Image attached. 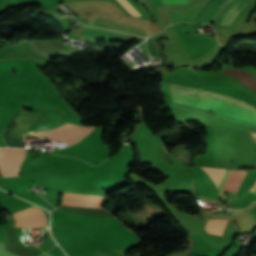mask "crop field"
Listing matches in <instances>:
<instances>
[{
	"label": "crop field",
	"instance_id": "crop-field-1",
	"mask_svg": "<svg viewBox=\"0 0 256 256\" xmlns=\"http://www.w3.org/2000/svg\"><path fill=\"white\" fill-rule=\"evenodd\" d=\"M168 98L211 109L212 112L256 127L255 107L224 96L168 83Z\"/></svg>",
	"mask_w": 256,
	"mask_h": 256
},
{
	"label": "crop field",
	"instance_id": "crop-field-2",
	"mask_svg": "<svg viewBox=\"0 0 256 256\" xmlns=\"http://www.w3.org/2000/svg\"><path fill=\"white\" fill-rule=\"evenodd\" d=\"M49 130H54L58 132L68 133L74 136H78L83 138L90 131L93 130L94 127H82L79 125H74L70 122L62 120L56 117L49 125ZM38 133H42L48 136L49 139H53L54 141L66 145H72L81 138H77L68 134L57 133L53 131H37Z\"/></svg>",
	"mask_w": 256,
	"mask_h": 256
},
{
	"label": "crop field",
	"instance_id": "crop-field-3",
	"mask_svg": "<svg viewBox=\"0 0 256 256\" xmlns=\"http://www.w3.org/2000/svg\"><path fill=\"white\" fill-rule=\"evenodd\" d=\"M26 156H28L27 149ZM24 149L0 148V171L3 177L18 176L19 167L26 159Z\"/></svg>",
	"mask_w": 256,
	"mask_h": 256
},
{
	"label": "crop field",
	"instance_id": "crop-field-4",
	"mask_svg": "<svg viewBox=\"0 0 256 256\" xmlns=\"http://www.w3.org/2000/svg\"><path fill=\"white\" fill-rule=\"evenodd\" d=\"M18 227H41L46 224L45 214L42 210L32 206L12 214Z\"/></svg>",
	"mask_w": 256,
	"mask_h": 256
},
{
	"label": "crop field",
	"instance_id": "crop-field-5",
	"mask_svg": "<svg viewBox=\"0 0 256 256\" xmlns=\"http://www.w3.org/2000/svg\"><path fill=\"white\" fill-rule=\"evenodd\" d=\"M247 171H232L227 170L223 182L219 188V197H224L223 191L229 190L236 193L237 189L241 185Z\"/></svg>",
	"mask_w": 256,
	"mask_h": 256
},
{
	"label": "crop field",
	"instance_id": "crop-field-6",
	"mask_svg": "<svg viewBox=\"0 0 256 256\" xmlns=\"http://www.w3.org/2000/svg\"><path fill=\"white\" fill-rule=\"evenodd\" d=\"M247 3L238 1L235 3L226 13L222 23L219 26L223 25H231L236 15L239 13V11L246 5Z\"/></svg>",
	"mask_w": 256,
	"mask_h": 256
},
{
	"label": "crop field",
	"instance_id": "crop-field-7",
	"mask_svg": "<svg viewBox=\"0 0 256 256\" xmlns=\"http://www.w3.org/2000/svg\"><path fill=\"white\" fill-rule=\"evenodd\" d=\"M226 222L227 220H208L206 231L216 235H222V230Z\"/></svg>",
	"mask_w": 256,
	"mask_h": 256
},
{
	"label": "crop field",
	"instance_id": "crop-field-8",
	"mask_svg": "<svg viewBox=\"0 0 256 256\" xmlns=\"http://www.w3.org/2000/svg\"><path fill=\"white\" fill-rule=\"evenodd\" d=\"M202 168L212 178L216 187H218L225 170L216 169V168H206V167H202Z\"/></svg>",
	"mask_w": 256,
	"mask_h": 256
},
{
	"label": "crop field",
	"instance_id": "crop-field-9",
	"mask_svg": "<svg viewBox=\"0 0 256 256\" xmlns=\"http://www.w3.org/2000/svg\"><path fill=\"white\" fill-rule=\"evenodd\" d=\"M131 16H141L136 8L128 0H117Z\"/></svg>",
	"mask_w": 256,
	"mask_h": 256
},
{
	"label": "crop field",
	"instance_id": "crop-field-10",
	"mask_svg": "<svg viewBox=\"0 0 256 256\" xmlns=\"http://www.w3.org/2000/svg\"><path fill=\"white\" fill-rule=\"evenodd\" d=\"M161 5H175L188 3L191 0H159Z\"/></svg>",
	"mask_w": 256,
	"mask_h": 256
},
{
	"label": "crop field",
	"instance_id": "crop-field-11",
	"mask_svg": "<svg viewBox=\"0 0 256 256\" xmlns=\"http://www.w3.org/2000/svg\"><path fill=\"white\" fill-rule=\"evenodd\" d=\"M256 183V182H255ZM256 188V184L254 185V187L250 190V191H252L253 192V190ZM253 193H255L256 194V189H255V191L253 192Z\"/></svg>",
	"mask_w": 256,
	"mask_h": 256
},
{
	"label": "crop field",
	"instance_id": "crop-field-12",
	"mask_svg": "<svg viewBox=\"0 0 256 256\" xmlns=\"http://www.w3.org/2000/svg\"><path fill=\"white\" fill-rule=\"evenodd\" d=\"M43 256H51V255L47 253V254H45V255H43Z\"/></svg>",
	"mask_w": 256,
	"mask_h": 256
}]
</instances>
